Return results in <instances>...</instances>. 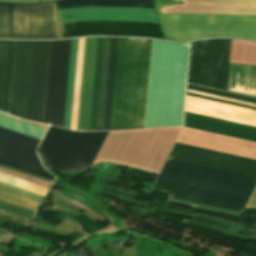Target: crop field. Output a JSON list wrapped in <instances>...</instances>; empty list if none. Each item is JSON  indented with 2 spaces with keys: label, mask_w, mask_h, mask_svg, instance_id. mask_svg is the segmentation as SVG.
Masks as SVG:
<instances>
[{
  "label": "crop field",
  "mask_w": 256,
  "mask_h": 256,
  "mask_svg": "<svg viewBox=\"0 0 256 256\" xmlns=\"http://www.w3.org/2000/svg\"><path fill=\"white\" fill-rule=\"evenodd\" d=\"M256 178L168 158L152 189L242 213Z\"/></svg>",
  "instance_id": "crop-field-1"
},
{
  "label": "crop field",
  "mask_w": 256,
  "mask_h": 256,
  "mask_svg": "<svg viewBox=\"0 0 256 256\" xmlns=\"http://www.w3.org/2000/svg\"><path fill=\"white\" fill-rule=\"evenodd\" d=\"M109 38H104L96 130H101Z\"/></svg>",
  "instance_id": "crop-field-20"
},
{
  "label": "crop field",
  "mask_w": 256,
  "mask_h": 256,
  "mask_svg": "<svg viewBox=\"0 0 256 256\" xmlns=\"http://www.w3.org/2000/svg\"><path fill=\"white\" fill-rule=\"evenodd\" d=\"M166 38L192 40L225 36L256 40V17L157 14Z\"/></svg>",
  "instance_id": "crop-field-5"
},
{
  "label": "crop field",
  "mask_w": 256,
  "mask_h": 256,
  "mask_svg": "<svg viewBox=\"0 0 256 256\" xmlns=\"http://www.w3.org/2000/svg\"><path fill=\"white\" fill-rule=\"evenodd\" d=\"M170 158L256 177V160L175 143Z\"/></svg>",
  "instance_id": "crop-field-10"
},
{
  "label": "crop field",
  "mask_w": 256,
  "mask_h": 256,
  "mask_svg": "<svg viewBox=\"0 0 256 256\" xmlns=\"http://www.w3.org/2000/svg\"><path fill=\"white\" fill-rule=\"evenodd\" d=\"M70 40L51 41L43 123L62 127Z\"/></svg>",
  "instance_id": "crop-field-9"
},
{
  "label": "crop field",
  "mask_w": 256,
  "mask_h": 256,
  "mask_svg": "<svg viewBox=\"0 0 256 256\" xmlns=\"http://www.w3.org/2000/svg\"><path fill=\"white\" fill-rule=\"evenodd\" d=\"M247 207L256 209V189H255Z\"/></svg>",
  "instance_id": "crop-field-23"
},
{
  "label": "crop field",
  "mask_w": 256,
  "mask_h": 256,
  "mask_svg": "<svg viewBox=\"0 0 256 256\" xmlns=\"http://www.w3.org/2000/svg\"><path fill=\"white\" fill-rule=\"evenodd\" d=\"M50 41H16L9 114L42 123Z\"/></svg>",
  "instance_id": "crop-field-4"
},
{
  "label": "crop field",
  "mask_w": 256,
  "mask_h": 256,
  "mask_svg": "<svg viewBox=\"0 0 256 256\" xmlns=\"http://www.w3.org/2000/svg\"><path fill=\"white\" fill-rule=\"evenodd\" d=\"M96 42L97 38H85L77 131H88Z\"/></svg>",
  "instance_id": "crop-field-11"
},
{
  "label": "crop field",
  "mask_w": 256,
  "mask_h": 256,
  "mask_svg": "<svg viewBox=\"0 0 256 256\" xmlns=\"http://www.w3.org/2000/svg\"><path fill=\"white\" fill-rule=\"evenodd\" d=\"M55 254V253H54ZM53 255V254H52ZM52 255H50V256H52Z\"/></svg>",
  "instance_id": "crop-field-24"
},
{
  "label": "crop field",
  "mask_w": 256,
  "mask_h": 256,
  "mask_svg": "<svg viewBox=\"0 0 256 256\" xmlns=\"http://www.w3.org/2000/svg\"><path fill=\"white\" fill-rule=\"evenodd\" d=\"M15 41H0V111L8 114Z\"/></svg>",
  "instance_id": "crop-field-13"
},
{
  "label": "crop field",
  "mask_w": 256,
  "mask_h": 256,
  "mask_svg": "<svg viewBox=\"0 0 256 256\" xmlns=\"http://www.w3.org/2000/svg\"><path fill=\"white\" fill-rule=\"evenodd\" d=\"M0 218L6 220L8 222L24 226V227L28 223V220H25V219H22V218H19V217L7 214V213H5V212H3L1 210H0Z\"/></svg>",
  "instance_id": "crop-field-22"
},
{
  "label": "crop field",
  "mask_w": 256,
  "mask_h": 256,
  "mask_svg": "<svg viewBox=\"0 0 256 256\" xmlns=\"http://www.w3.org/2000/svg\"><path fill=\"white\" fill-rule=\"evenodd\" d=\"M57 9L89 6H125L153 8V0H65ZM90 7L57 10L59 22L78 20H126L157 22L153 9ZM79 21L60 23L61 38L85 35H134L163 38L159 25L149 22Z\"/></svg>",
  "instance_id": "crop-field-2"
},
{
  "label": "crop field",
  "mask_w": 256,
  "mask_h": 256,
  "mask_svg": "<svg viewBox=\"0 0 256 256\" xmlns=\"http://www.w3.org/2000/svg\"><path fill=\"white\" fill-rule=\"evenodd\" d=\"M119 38H110L102 130H110Z\"/></svg>",
  "instance_id": "crop-field-14"
},
{
  "label": "crop field",
  "mask_w": 256,
  "mask_h": 256,
  "mask_svg": "<svg viewBox=\"0 0 256 256\" xmlns=\"http://www.w3.org/2000/svg\"><path fill=\"white\" fill-rule=\"evenodd\" d=\"M0 199L35 211L44 197L0 182Z\"/></svg>",
  "instance_id": "crop-field-15"
},
{
  "label": "crop field",
  "mask_w": 256,
  "mask_h": 256,
  "mask_svg": "<svg viewBox=\"0 0 256 256\" xmlns=\"http://www.w3.org/2000/svg\"><path fill=\"white\" fill-rule=\"evenodd\" d=\"M151 45L120 38L111 130L143 128Z\"/></svg>",
  "instance_id": "crop-field-3"
},
{
  "label": "crop field",
  "mask_w": 256,
  "mask_h": 256,
  "mask_svg": "<svg viewBox=\"0 0 256 256\" xmlns=\"http://www.w3.org/2000/svg\"><path fill=\"white\" fill-rule=\"evenodd\" d=\"M77 43H78V39H74V40H71V45H70V56H69L64 122H63V127L68 129L70 125Z\"/></svg>",
  "instance_id": "crop-field-17"
},
{
  "label": "crop field",
  "mask_w": 256,
  "mask_h": 256,
  "mask_svg": "<svg viewBox=\"0 0 256 256\" xmlns=\"http://www.w3.org/2000/svg\"><path fill=\"white\" fill-rule=\"evenodd\" d=\"M0 38H59L54 4L0 3Z\"/></svg>",
  "instance_id": "crop-field-7"
},
{
  "label": "crop field",
  "mask_w": 256,
  "mask_h": 256,
  "mask_svg": "<svg viewBox=\"0 0 256 256\" xmlns=\"http://www.w3.org/2000/svg\"><path fill=\"white\" fill-rule=\"evenodd\" d=\"M83 44H84V38L79 39L71 125H70V129H73V130H76V126H77L80 85H81L82 58H83Z\"/></svg>",
  "instance_id": "crop-field-19"
},
{
  "label": "crop field",
  "mask_w": 256,
  "mask_h": 256,
  "mask_svg": "<svg viewBox=\"0 0 256 256\" xmlns=\"http://www.w3.org/2000/svg\"><path fill=\"white\" fill-rule=\"evenodd\" d=\"M107 132H75L50 126L40 150L51 169L85 170L91 166Z\"/></svg>",
  "instance_id": "crop-field-6"
},
{
  "label": "crop field",
  "mask_w": 256,
  "mask_h": 256,
  "mask_svg": "<svg viewBox=\"0 0 256 256\" xmlns=\"http://www.w3.org/2000/svg\"><path fill=\"white\" fill-rule=\"evenodd\" d=\"M0 165L49 181L54 180L52 174L0 157Z\"/></svg>",
  "instance_id": "crop-field-21"
},
{
  "label": "crop field",
  "mask_w": 256,
  "mask_h": 256,
  "mask_svg": "<svg viewBox=\"0 0 256 256\" xmlns=\"http://www.w3.org/2000/svg\"><path fill=\"white\" fill-rule=\"evenodd\" d=\"M38 143L39 140L0 127V153L2 154L41 166L34 152Z\"/></svg>",
  "instance_id": "crop-field-12"
},
{
  "label": "crop field",
  "mask_w": 256,
  "mask_h": 256,
  "mask_svg": "<svg viewBox=\"0 0 256 256\" xmlns=\"http://www.w3.org/2000/svg\"><path fill=\"white\" fill-rule=\"evenodd\" d=\"M187 88L194 89V90H199V91H203V92H208V93H212V94H217V95H221V96H225V97H230V98H234V99H239V100H243V101H248V102H252V103H256V99H254V98L245 97V96H241V95H236V94H232V93H227V92H223V91H218V90H214V89L204 88V87L195 86V85H191V84H187ZM190 89H188V92H190V93L204 95V96H208V97L218 98V99H222V100L232 101V102L246 104V105L256 107V104L243 102V101H239V100H234V99H230V98H225V97L212 95V94H208V93H203V92H199V91H194V90H190ZM190 93H187L186 95L256 110L255 107H250V106H246V105H241V104L222 101V100H218V99L208 98V97H204V96L194 95V94H190Z\"/></svg>",
  "instance_id": "crop-field-16"
},
{
  "label": "crop field",
  "mask_w": 256,
  "mask_h": 256,
  "mask_svg": "<svg viewBox=\"0 0 256 256\" xmlns=\"http://www.w3.org/2000/svg\"><path fill=\"white\" fill-rule=\"evenodd\" d=\"M102 43H103V38H98L97 51H96V61H95V70H94V79H93V90H92V102H91V114H90L89 131L95 130V124H96V112H97V101H98V89H99V78H100Z\"/></svg>",
  "instance_id": "crop-field-18"
},
{
  "label": "crop field",
  "mask_w": 256,
  "mask_h": 256,
  "mask_svg": "<svg viewBox=\"0 0 256 256\" xmlns=\"http://www.w3.org/2000/svg\"><path fill=\"white\" fill-rule=\"evenodd\" d=\"M228 39L191 43L188 82L225 90Z\"/></svg>",
  "instance_id": "crop-field-8"
}]
</instances>
